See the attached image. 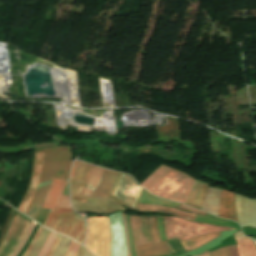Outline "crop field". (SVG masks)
Listing matches in <instances>:
<instances>
[{"instance_id": "crop-field-20", "label": "crop field", "mask_w": 256, "mask_h": 256, "mask_svg": "<svg viewBox=\"0 0 256 256\" xmlns=\"http://www.w3.org/2000/svg\"><path fill=\"white\" fill-rule=\"evenodd\" d=\"M233 235L237 241L238 253L240 256H256V246L253 242L246 239L239 231Z\"/></svg>"}, {"instance_id": "crop-field-5", "label": "crop field", "mask_w": 256, "mask_h": 256, "mask_svg": "<svg viewBox=\"0 0 256 256\" xmlns=\"http://www.w3.org/2000/svg\"><path fill=\"white\" fill-rule=\"evenodd\" d=\"M163 222L167 239L178 237L180 241L219 231L232 230V228L226 226L191 222L169 216H163Z\"/></svg>"}, {"instance_id": "crop-field-30", "label": "crop field", "mask_w": 256, "mask_h": 256, "mask_svg": "<svg viewBox=\"0 0 256 256\" xmlns=\"http://www.w3.org/2000/svg\"><path fill=\"white\" fill-rule=\"evenodd\" d=\"M42 228H43V227L39 226V228H38V230H37V232H36V234H35V236H34L32 242H31L30 246L27 248V250L25 251V253L23 254V256H26V255L28 254L29 250L31 249V247H32V245H33V243H34L36 237L38 236V234L40 233V231L42 230Z\"/></svg>"}, {"instance_id": "crop-field-27", "label": "crop field", "mask_w": 256, "mask_h": 256, "mask_svg": "<svg viewBox=\"0 0 256 256\" xmlns=\"http://www.w3.org/2000/svg\"><path fill=\"white\" fill-rule=\"evenodd\" d=\"M49 231H47L46 229L43 228V230L41 231V233L37 237L32 249L30 250V252L27 256H36L41 244L43 243V241L45 240V238L49 234Z\"/></svg>"}, {"instance_id": "crop-field-32", "label": "crop field", "mask_w": 256, "mask_h": 256, "mask_svg": "<svg viewBox=\"0 0 256 256\" xmlns=\"http://www.w3.org/2000/svg\"><path fill=\"white\" fill-rule=\"evenodd\" d=\"M179 208L206 215V212H202V211H199V210H196V209H192V208L186 207L182 204L179 206Z\"/></svg>"}, {"instance_id": "crop-field-31", "label": "crop field", "mask_w": 256, "mask_h": 256, "mask_svg": "<svg viewBox=\"0 0 256 256\" xmlns=\"http://www.w3.org/2000/svg\"><path fill=\"white\" fill-rule=\"evenodd\" d=\"M122 215H123V220H124L125 235H126V243H127V256H130L129 242H128V236H127L126 223H125V214L122 213Z\"/></svg>"}, {"instance_id": "crop-field-15", "label": "crop field", "mask_w": 256, "mask_h": 256, "mask_svg": "<svg viewBox=\"0 0 256 256\" xmlns=\"http://www.w3.org/2000/svg\"><path fill=\"white\" fill-rule=\"evenodd\" d=\"M120 173L105 170L93 195L109 196Z\"/></svg>"}, {"instance_id": "crop-field-12", "label": "crop field", "mask_w": 256, "mask_h": 256, "mask_svg": "<svg viewBox=\"0 0 256 256\" xmlns=\"http://www.w3.org/2000/svg\"><path fill=\"white\" fill-rule=\"evenodd\" d=\"M131 232L134 245L140 243L153 242L150 230V216H140L129 215Z\"/></svg>"}, {"instance_id": "crop-field-37", "label": "crop field", "mask_w": 256, "mask_h": 256, "mask_svg": "<svg viewBox=\"0 0 256 256\" xmlns=\"http://www.w3.org/2000/svg\"><path fill=\"white\" fill-rule=\"evenodd\" d=\"M199 256H209L208 251L203 253V254H201V255H199Z\"/></svg>"}, {"instance_id": "crop-field-14", "label": "crop field", "mask_w": 256, "mask_h": 256, "mask_svg": "<svg viewBox=\"0 0 256 256\" xmlns=\"http://www.w3.org/2000/svg\"><path fill=\"white\" fill-rule=\"evenodd\" d=\"M42 161H43V149H39V150H35V155H34V164H33V170H32V177H31V182L29 184L27 193L19 207L18 210H20L21 212H24L31 196L32 193L36 187L37 184V180H38V176H39V172L41 169V165H42Z\"/></svg>"}, {"instance_id": "crop-field-25", "label": "crop field", "mask_w": 256, "mask_h": 256, "mask_svg": "<svg viewBox=\"0 0 256 256\" xmlns=\"http://www.w3.org/2000/svg\"><path fill=\"white\" fill-rule=\"evenodd\" d=\"M209 253L210 256H239L237 253L236 245L225 246Z\"/></svg>"}, {"instance_id": "crop-field-17", "label": "crop field", "mask_w": 256, "mask_h": 256, "mask_svg": "<svg viewBox=\"0 0 256 256\" xmlns=\"http://www.w3.org/2000/svg\"><path fill=\"white\" fill-rule=\"evenodd\" d=\"M207 188V184L196 180L185 203L201 209Z\"/></svg>"}, {"instance_id": "crop-field-26", "label": "crop field", "mask_w": 256, "mask_h": 256, "mask_svg": "<svg viewBox=\"0 0 256 256\" xmlns=\"http://www.w3.org/2000/svg\"><path fill=\"white\" fill-rule=\"evenodd\" d=\"M58 234L50 232L49 236L45 240L44 244L42 245L40 251L38 252L37 256H46L49 252L51 246L53 245L56 237Z\"/></svg>"}, {"instance_id": "crop-field-36", "label": "crop field", "mask_w": 256, "mask_h": 256, "mask_svg": "<svg viewBox=\"0 0 256 256\" xmlns=\"http://www.w3.org/2000/svg\"><path fill=\"white\" fill-rule=\"evenodd\" d=\"M83 256H94L89 251L85 250Z\"/></svg>"}, {"instance_id": "crop-field-1", "label": "crop field", "mask_w": 256, "mask_h": 256, "mask_svg": "<svg viewBox=\"0 0 256 256\" xmlns=\"http://www.w3.org/2000/svg\"><path fill=\"white\" fill-rule=\"evenodd\" d=\"M71 154L72 148L66 146L44 149L38 185L24 214L36 219L53 178L68 181Z\"/></svg>"}, {"instance_id": "crop-field-19", "label": "crop field", "mask_w": 256, "mask_h": 256, "mask_svg": "<svg viewBox=\"0 0 256 256\" xmlns=\"http://www.w3.org/2000/svg\"><path fill=\"white\" fill-rule=\"evenodd\" d=\"M221 191V189L209 187L202 209L217 215L219 210V198Z\"/></svg>"}, {"instance_id": "crop-field-29", "label": "crop field", "mask_w": 256, "mask_h": 256, "mask_svg": "<svg viewBox=\"0 0 256 256\" xmlns=\"http://www.w3.org/2000/svg\"><path fill=\"white\" fill-rule=\"evenodd\" d=\"M80 244H78L76 241L73 240L66 256H75Z\"/></svg>"}, {"instance_id": "crop-field-33", "label": "crop field", "mask_w": 256, "mask_h": 256, "mask_svg": "<svg viewBox=\"0 0 256 256\" xmlns=\"http://www.w3.org/2000/svg\"><path fill=\"white\" fill-rule=\"evenodd\" d=\"M60 237H61V235L59 234L58 237H57V239H56V241H55V243H54V245H53V247L51 248V250H50L48 256H52V254H53V252H54V250H55V247H56V245H57V243H58Z\"/></svg>"}, {"instance_id": "crop-field-28", "label": "crop field", "mask_w": 256, "mask_h": 256, "mask_svg": "<svg viewBox=\"0 0 256 256\" xmlns=\"http://www.w3.org/2000/svg\"><path fill=\"white\" fill-rule=\"evenodd\" d=\"M35 224H36V222L31 221V223H30V225H29V227H28V229H27V231H26V233H25L23 239L21 240L20 244L18 245V247L15 249V251L12 253L11 256H17V255H18V253L20 252V250H21V249L23 248V246L26 244V242H27V240H28V238H29V236H30V234H31V232H32V230H33Z\"/></svg>"}, {"instance_id": "crop-field-24", "label": "crop field", "mask_w": 256, "mask_h": 256, "mask_svg": "<svg viewBox=\"0 0 256 256\" xmlns=\"http://www.w3.org/2000/svg\"><path fill=\"white\" fill-rule=\"evenodd\" d=\"M72 239L62 235L53 256H65Z\"/></svg>"}, {"instance_id": "crop-field-18", "label": "crop field", "mask_w": 256, "mask_h": 256, "mask_svg": "<svg viewBox=\"0 0 256 256\" xmlns=\"http://www.w3.org/2000/svg\"><path fill=\"white\" fill-rule=\"evenodd\" d=\"M136 210L171 213V214H174V216H176V217L188 218V219H192V220H194L195 216H196L195 214L176 210V208L156 206V205H150V204H142V203L137 204Z\"/></svg>"}, {"instance_id": "crop-field-7", "label": "crop field", "mask_w": 256, "mask_h": 256, "mask_svg": "<svg viewBox=\"0 0 256 256\" xmlns=\"http://www.w3.org/2000/svg\"><path fill=\"white\" fill-rule=\"evenodd\" d=\"M85 246L96 256H109L110 233L107 217L88 219Z\"/></svg>"}, {"instance_id": "crop-field-13", "label": "crop field", "mask_w": 256, "mask_h": 256, "mask_svg": "<svg viewBox=\"0 0 256 256\" xmlns=\"http://www.w3.org/2000/svg\"><path fill=\"white\" fill-rule=\"evenodd\" d=\"M66 183V181L54 179L42 207L56 209L57 206H61L71 208L69 196L61 195Z\"/></svg>"}, {"instance_id": "crop-field-8", "label": "crop field", "mask_w": 256, "mask_h": 256, "mask_svg": "<svg viewBox=\"0 0 256 256\" xmlns=\"http://www.w3.org/2000/svg\"><path fill=\"white\" fill-rule=\"evenodd\" d=\"M31 219L16 213L9 231L0 246V256H10L20 242Z\"/></svg>"}, {"instance_id": "crop-field-22", "label": "crop field", "mask_w": 256, "mask_h": 256, "mask_svg": "<svg viewBox=\"0 0 256 256\" xmlns=\"http://www.w3.org/2000/svg\"><path fill=\"white\" fill-rule=\"evenodd\" d=\"M217 236H219V233L206 235V236L198 237V238L187 240V241H182L181 244L186 249V251H190V250H194L197 247H199L200 245L216 238Z\"/></svg>"}, {"instance_id": "crop-field-6", "label": "crop field", "mask_w": 256, "mask_h": 256, "mask_svg": "<svg viewBox=\"0 0 256 256\" xmlns=\"http://www.w3.org/2000/svg\"><path fill=\"white\" fill-rule=\"evenodd\" d=\"M193 182L194 179L173 169L149 191L164 198L184 203Z\"/></svg>"}, {"instance_id": "crop-field-35", "label": "crop field", "mask_w": 256, "mask_h": 256, "mask_svg": "<svg viewBox=\"0 0 256 256\" xmlns=\"http://www.w3.org/2000/svg\"><path fill=\"white\" fill-rule=\"evenodd\" d=\"M76 163H77V161H74V162H73V168H72V172H71V176H70V178H73V176H74Z\"/></svg>"}, {"instance_id": "crop-field-9", "label": "crop field", "mask_w": 256, "mask_h": 256, "mask_svg": "<svg viewBox=\"0 0 256 256\" xmlns=\"http://www.w3.org/2000/svg\"><path fill=\"white\" fill-rule=\"evenodd\" d=\"M151 230L154 243L141 244L135 246L137 256H161L169 255V249L166 241L161 242L156 217L152 216Z\"/></svg>"}, {"instance_id": "crop-field-4", "label": "crop field", "mask_w": 256, "mask_h": 256, "mask_svg": "<svg viewBox=\"0 0 256 256\" xmlns=\"http://www.w3.org/2000/svg\"><path fill=\"white\" fill-rule=\"evenodd\" d=\"M43 226L70 236L82 244L84 242L86 223L72 209L58 207L57 210H51Z\"/></svg>"}, {"instance_id": "crop-field-2", "label": "crop field", "mask_w": 256, "mask_h": 256, "mask_svg": "<svg viewBox=\"0 0 256 256\" xmlns=\"http://www.w3.org/2000/svg\"><path fill=\"white\" fill-rule=\"evenodd\" d=\"M93 169V165L78 162L74 179H70V196L73 208L76 211L93 213H112L124 209L115 198L96 196H80L85 183Z\"/></svg>"}, {"instance_id": "crop-field-10", "label": "crop field", "mask_w": 256, "mask_h": 256, "mask_svg": "<svg viewBox=\"0 0 256 256\" xmlns=\"http://www.w3.org/2000/svg\"><path fill=\"white\" fill-rule=\"evenodd\" d=\"M111 228V256H126L121 212L108 215Z\"/></svg>"}, {"instance_id": "crop-field-21", "label": "crop field", "mask_w": 256, "mask_h": 256, "mask_svg": "<svg viewBox=\"0 0 256 256\" xmlns=\"http://www.w3.org/2000/svg\"><path fill=\"white\" fill-rule=\"evenodd\" d=\"M170 170H171V168L162 165L154 173H152L145 181H143L140 184V186L149 190L154 184H156Z\"/></svg>"}, {"instance_id": "crop-field-11", "label": "crop field", "mask_w": 256, "mask_h": 256, "mask_svg": "<svg viewBox=\"0 0 256 256\" xmlns=\"http://www.w3.org/2000/svg\"><path fill=\"white\" fill-rule=\"evenodd\" d=\"M235 207L241 227L251 226L256 228V199H247L235 194Z\"/></svg>"}, {"instance_id": "crop-field-34", "label": "crop field", "mask_w": 256, "mask_h": 256, "mask_svg": "<svg viewBox=\"0 0 256 256\" xmlns=\"http://www.w3.org/2000/svg\"><path fill=\"white\" fill-rule=\"evenodd\" d=\"M84 249H85V248H84L83 246H80V248H79V250H78L76 256H82V253H83Z\"/></svg>"}, {"instance_id": "crop-field-23", "label": "crop field", "mask_w": 256, "mask_h": 256, "mask_svg": "<svg viewBox=\"0 0 256 256\" xmlns=\"http://www.w3.org/2000/svg\"><path fill=\"white\" fill-rule=\"evenodd\" d=\"M104 169L94 167L82 195H92Z\"/></svg>"}, {"instance_id": "crop-field-16", "label": "crop field", "mask_w": 256, "mask_h": 256, "mask_svg": "<svg viewBox=\"0 0 256 256\" xmlns=\"http://www.w3.org/2000/svg\"><path fill=\"white\" fill-rule=\"evenodd\" d=\"M220 217L230 218L236 220V213L234 207V194L228 191H222L221 199H220Z\"/></svg>"}, {"instance_id": "crop-field-3", "label": "crop field", "mask_w": 256, "mask_h": 256, "mask_svg": "<svg viewBox=\"0 0 256 256\" xmlns=\"http://www.w3.org/2000/svg\"><path fill=\"white\" fill-rule=\"evenodd\" d=\"M110 196L116 197L120 203L124 204L133 211L137 202L171 206H176L179 204L162 200L151 195L145 189L139 187L132 177L122 173L120 174Z\"/></svg>"}, {"instance_id": "crop-field-38", "label": "crop field", "mask_w": 256, "mask_h": 256, "mask_svg": "<svg viewBox=\"0 0 256 256\" xmlns=\"http://www.w3.org/2000/svg\"><path fill=\"white\" fill-rule=\"evenodd\" d=\"M254 241H256V238H252Z\"/></svg>"}]
</instances>
